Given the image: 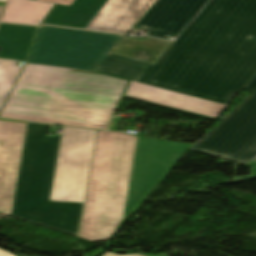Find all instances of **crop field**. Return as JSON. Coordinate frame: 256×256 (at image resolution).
<instances>
[{
	"mask_svg": "<svg viewBox=\"0 0 256 256\" xmlns=\"http://www.w3.org/2000/svg\"><path fill=\"white\" fill-rule=\"evenodd\" d=\"M157 65L108 54L93 71L228 105L256 73V0H212Z\"/></svg>",
	"mask_w": 256,
	"mask_h": 256,
	"instance_id": "obj_1",
	"label": "crop field"
},
{
	"mask_svg": "<svg viewBox=\"0 0 256 256\" xmlns=\"http://www.w3.org/2000/svg\"><path fill=\"white\" fill-rule=\"evenodd\" d=\"M124 97L213 121L226 107L101 73L25 64L0 117L106 129Z\"/></svg>",
	"mask_w": 256,
	"mask_h": 256,
	"instance_id": "obj_2",
	"label": "crop field"
},
{
	"mask_svg": "<svg viewBox=\"0 0 256 256\" xmlns=\"http://www.w3.org/2000/svg\"><path fill=\"white\" fill-rule=\"evenodd\" d=\"M192 146L97 131L78 237L110 240Z\"/></svg>",
	"mask_w": 256,
	"mask_h": 256,
	"instance_id": "obj_3",
	"label": "crop field"
},
{
	"mask_svg": "<svg viewBox=\"0 0 256 256\" xmlns=\"http://www.w3.org/2000/svg\"><path fill=\"white\" fill-rule=\"evenodd\" d=\"M28 122L11 215L77 236L96 130Z\"/></svg>",
	"mask_w": 256,
	"mask_h": 256,
	"instance_id": "obj_4",
	"label": "crop field"
},
{
	"mask_svg": "<svg viewBox=\"0 0 256 256\" xmlns=\"http://www.w3.org/2000/svg\"><path fill=\"white\" fill-rule=\"evenodd\" d=\"M123 36L43 26L26 63L92 70Z\"/></svg>",
	"mask_w": 256,
	"mask_h": 256,
	"instance_id": "obj_5",
	"label": "crop field"
},
{
	"mask_svg": "<svg viewBox=\"0 0 256 256\" xmlns=\"http://www.w3.org/2000/svg\"><path fill=\"white\" fill-rule=\"evenodd\" d=\"M243 90L252 93L190 150L244 165L256 156V74Z\"/></svg>",
	"mask_w": 256,
	"mask_h": 256,
	"instance_id": "obj_6",
	"label": "crop field"
},
{
	"mask_svg": "<svg viewBox=\"0 0 256 256\" xmlns=\"http://www.w3.org/2000/svg\"><path fill=\"white\" fill-rule=\"evenodd\" d=\"M156 0H74L56 4L42 23L126 34Z\"/></svg>",
	"mask_w": 256,
	"mask_h": 256,
	"instance_id": "obj_7",
	"label": "crop field"
},
{
	"mask_svg": "<svg viewBox=\"0 0 256 256\" xmlns=\"http://www.w3.org/2000/svg\"><path fill=\"white\" fill-rule=\"evenodd\" d=\"M208 0H157L133 26L149 31V36L171 39Z\"/></svg>",
	"mask_w": 256,
	"mask_h": 256,
	"instance_id": "obj_8",
	"label": "crop field"
},
{
	"mask_svg": "<svg viewBox=\"0 0 256 256\" xmlns=\"http://www.w3.org/2000/svg\"><path fill=\"white\" fill-rule=\"evenodd\" d=\"M26 124L0 119V212L9 215Z\"/></svg>",
	"mask_w": 256,
	"mask_h": 256,
	"instance_id": "obj_9",
	"label": "crop field"
},
{
	"mask_svg": "<svg viewBox=\"0 0 256 256\" xmlns=\"http://www.w3.org/2000/svg\"><path fill=\"white\" fill-rule=\"evenodd\" d=\"M36 28L0 23V57L25 61Z\"/></svg>",
	"mask_w": 256,
	"mask_h": 256,
	"instance_id": "obj_10",
	"label": "crop field"
},
{
	"mask_svg": "<svg viewBox=\"0 0 256 256\" xmlns=\"http://www.w3.org/2000/svg\"><path fill=\"white\" fill-rule=\"evenodd\" d=\"M52 6L34 0H8L1 22L39 25Z\"/></svg>",
	"mask_w": 256,
	"mask_h": 256,
	"instance_id": "obj_11",
	"label": "crop field"
},
{
	"mask_svg": "<svg viewBox=\"0 0 256 256\" xmlns=\"http://www.w3.org/2000/svg\"><path fill=\"white\" fill-rule=\"evenodd\" d=\"M14 63L15 61L0 59V108L21 70Z\"/></svg>",
	"mask_w": 256,
	"mask_h": 256,
	"instance_id": "obj_12",
	"label": "crop field"
},
{
	"mask_svg": "<svg viewBox=\"0 0 256 256\" xmlns=\"http://www.w3.org/2000/svg\"><path fill=\"white\" fill-rule=\"evenodd\" d=\"M43 1L59 3V4H63V5L69 6L73 0H43Z\"/></svg>",
	"mask_w": 256,
	"mask_h": 256,
	"instance_id": "obj_13",
	"label": "crop field"
},
{
	"mask_svg": "<svg viewBox=\"0 0 256 256\" xmlns=\"http://www.w3.org/2000/svg\"><path fill=\"white\" fill-rule=\"evenodd\" d=\"M176 43L175 42H173L170 46H169V48L158 58V60L154 63V64H158L161 60H162V58L172 49V47L175 45Z\"/></svg>",
	"mask_w": 256,
	"mask_h": 256,
	"instance_id": "obj_14",
	"label": "crop field"
},
{
	"mask_svg": "<svg viewBox=\"0 0 256 256\" xmlns=\"http://www.w3.org/2000/svg\"><path fill=\"white\" fill-rule=\"evenodd\" d=\"M102 256H144V255H140V254L117 255V254L106 252Z\"/></svg>",
	"mask_w": 256,
	"mask_h": 256,
	"instance_id": "obj_15",
	"label": "crop field"
},
{
	"mask_svg": "<svg viewBox=\"0 0 256 256\" xmlns=\"http://www.w3.org/2000/svg\"><path fill=\"white\" fill-rule=\"evenodd\" d=\"M0 256H14V255L6 251L0 250Z\"/></svg>",
	"mask_w": 256,
	"mask_h": 256,
	"instance_id": "obj_16",
	"label": "crop field"
},
{
	"mask_svg": "<svg viewBox=\"0 0 256 256\" xmlns=\"http://www.w3.org/2000/svg\"><path fill=\"white\" fill-rule=\"evenodd\" d=\"M1 8H2V6H0V11H1Z\"/></svg>",
	"mask_w": 256,
	"mask_h": 256,
	"instance_id": "obj_17",
	"label": "crop field"
}]
</instances>
